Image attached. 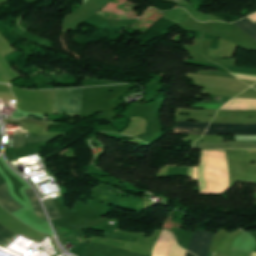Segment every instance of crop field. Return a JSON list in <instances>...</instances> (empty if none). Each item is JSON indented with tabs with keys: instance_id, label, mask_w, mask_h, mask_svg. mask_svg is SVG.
<instances>
[{
	"instance_id": "crop-field-1",
	"label": "crop field",
	"mask_w": 256,
	"mask_h": 256,
	"mask_svg": "<svg viewBox=\"0 0 256 256\" xmlns=\"http://www.w3.org/2000/svg\"><path fill=\"white\" fill-rule=\"evenodd\" d=\"M82 101V89L55 90L53 113L79 115Z\"/></svg>"
},
{
	"instance_id": "crop-field-2",
	"label": "crop field",
	"mask_w": 256,
	"mask_h": 256,
	"mask_svg": "<svg viewBox=\"0 0 256 256\" xmlns=\"http://www.w3.org/2000/svg\"><path fill=\"white\" fill-rule=\"evenodd\" d=\"M256 135V124L210 123L204 135Z\"/></svg>"
},
{
	"instance_id": "crop-field-3",
	"label": "crop field",
	"mask_w": 256,
	"mask_h": 256,
	"mask_svg": "<svg viewBox=\"0 0 256 256\" xmlns=\"http://www.w3.org/2000/svg\"><path fill=\"white\" fill-rule=\"evenodd\" d=\"M213 234L201 230H195L187 251L196 256H206Z\"/></svg>"
},
{
	"instance_id": "crop-field-4",
	"label": "crop field",
	"mask_w": 256,
	"mask_h": 256,
	"mask_svg": "<svg viewBox=\"0 0 256 256\" xmlns=\"http://www.w3.org/2000/svg\"><path fill=\"white\" fill-rule=\"evenodd\" d=\"M193 148L214 149V148H256V142H231L222 144L221 142H196Z\"/></svg>"
},
{
	"instance_id": "crop-field-5",
	"label": "crop field",
	"mask_w": 256,
	"mask_h": 256,
	"mask_svg": "<svg viewBox=\"0 0 256 256\" xmlns=\"http://www.w3.org/2000/svg\"><path fill=\"white\" fill-rule=\"evenodd\" d=\"M208 123L197 122L196 124H191L186 121H176V126L173 127V131L176 134L188 133V134H203L204 129Z\"/></svg>"
},
{
	"instance_id": "crop-field-6",
	"label": "crop field",
	"mask_w": 256,
	"mask_h": 256,
	"mask_svg": "<svg viewBox=\"0 0 256 256\" xmlns=\"http://www.w3.org/2000/svg\"><path fill=\"white\" fill-rule=\"evenodd\" d=\"M0 204L11 213L24 208L10 196L5 182L0 184Z\"/></svg>"
},
{
	"instance_id": "crop-field-7",
	"label": "crop field",
	"mask_w": 256,
	"mask_h": 256,
	"mask_svg": "<svg viewBox=\"0 0 256 256\" xmlns=\"http://www.w3.org/2000/svg\"><path fill=\"white\" fill-rule=\"evenodd\" d=\"M25 193L33 207V210H34L36 216L45 221L41 206H40L39 201H38L36 195L34 194V192L31 190V188H29V189L25 190Z\"/></svg>"
},
{
	"instance_id": "crop-field-8",
	"label": "crop field",
	"mask_w": 256,
	"mask_h": 256,
	"mask_svg": "<svg viewBox=\"0 0 256 256\" xmlns=\"http://www.w3.org/2000/svg\"><path fill=\"white\" fill-rule=\"evenodd\" d=\"M234 24H236L238 27H240L242 30H244L246 33L256 39V26L249 20L244 18L240 21L234 22Z\"/></svg>"
},
{
	"instance_id": "crop-field-9",
	"label": "crop field",
	"mask_w": 256,
	"mask_h": 256,
	"mask_svg": "<svg viewBox=\"0 0 256 256\" xmlns=\"http://www.w3.org/2000/svg\"><path fill=\"white\" fill-rule=\"evenodd\" d=\"M44 206L46 208L47 213L50 215L51 219L54 220L56 218H60V214L55 206V204L52 202L51 197H47L46 200H44Z\"/></svg>"
},
{
	"instance_id": "crop-field-10",
	"label": "crop field",
	"mask_w": 256,
	"mask_h": 256,
	"mask_svg": "<svg viewBox=\"0 0 256 256\" xmlns=\"http://www.w3.org/2000/svg\"><path fill=\"white\" fill-rule=\"evenodd\" d=\"M21 132V131H19ZM25 132L14 134L13 136V148L24 146L26 143L27 136H24ZM12 148V149H13Z\"/></svg>"
},
{
	"instance_id": "crop-field-11",
	"label": "crop field",
	"mask_w": 256,
	"mask_h": 256,
	"mask_svg": "<svg viewBox=\"0 0 256 256\" xmlns=\"http://www.w3.org/2000/svg\"><path fill=\"white\" fill-rule=\"evenodd\" d=\"M15 234L7 230L5 227L0 225V241L7 243Z\"/></svg>"
},
{
	"instance_id": "crop-field-12",
	"label": "crop field",
	"mask_w": 256,
	"mask_h": 256,
	"mask_svg": "<svg viewBox=\"0 0 256 256\" xmlns=\"http://www.w3.org/2000/svg\"><path fill=\"white\" fill-rule=\"evenodd\" d=\"M55 137H36V136H30V139L28 143H36V142H49Z\"/></svg>"
},
{
	"instance_id": "crop-field-13",
	"label": "crop field",
	"mask_w": 256,
	"mask_h": 256,
	"mask_svg": "<svg viewBox=\"0 0 256 256\" xmlns=\"http://www.w3.org/2000/svg\"><path fill=\"white\" fill-rule=\"evenodd\" d=\"M250 253H246L240 250H236L232 248L231 255L230 256H250Z\"/></svg>"
},
{
	"instance_id": "crop-field-14",
	"label": "crop field",
	"mask_w": 256,
	"mask_h": 256,
	"mask_svg": "<svg viewBox=\"0 0 256 256\" xmlns=\"http://www.w3.org/2000/svg\"><path fill=\"white\" fill-rule=\"evenodd\" d=\"M185 256H193V255H191V254H189V253L186 252V253H185Z\"/></svg>"
},
{
	"instance_id": "crop-field-15",
	"label": "crop field",
	"mask_w": 256,
	"mask_h": 256,
	"mask_svg": "<svg viewBox=\"0 0 256 256\" xmlns=\"http://www.w3.org/2000/svg\"><path fill=\"white\" fill-rule=\"evenodd\" d=\"M0 246H1V247H3V246H4V244L0 243Z\"/></svg>"
},
{
	"instance_id": "crop-field-16",
	"label": "crop field",
	"mask_w": 256,
	"mask_h": 256,
	"mask_svg": "<svg viewBox=\"0 0 256 256\" xmlns=\"http://www.w3.org/2000/svg\"><path fill=\"white\" fill-rule=\"evenodd\" d=\"M256 24V23H255Z\"/></svg>"
}]
</instances>
